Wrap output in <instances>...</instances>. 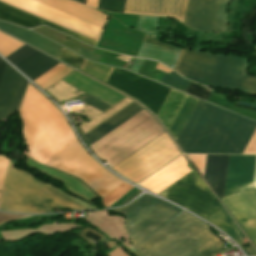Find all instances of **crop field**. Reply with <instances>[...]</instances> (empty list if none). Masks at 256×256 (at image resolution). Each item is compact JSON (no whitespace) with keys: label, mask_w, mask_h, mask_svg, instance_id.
Here are the masks:
<instances>
[{"label":"crop field","mask_w":256,"mask_h":256,"mask_svg":"<svg viewBox=\"0 0 256 256\" xmlns=\"http://www.w3.org/2000/svg\"><path fill=\"white\" fill-rule=\"evenodd\" d=\"M256 156L230 155L222 202L256 244V185H252Z\"/></svg>","instance_id":"7"},{"label":"crop field","mask_w":256,"mask_h":256,"mask_svg":"<svg viewBox=\"0 0 256 256\" xmlns=\"http://www.w3.org/2000/svg\"><path fill=\"white\" fill-rule=\"evenodd\" d=\"M19 112L30 157L42 164L76 138L64 115L30 84Z\"/></svg>","instance_id":"2"},{"label":"crop field","mask_w":256,"mask_h":256,"mask_svg":"<svg viewBox=\"0 0 256 256\" xmlns=\"http://www.w3.org/2000/svg\"><path fill=\"white\" fill-rule=\"evenodd\" d=\"M247 59L182 49L174 70L184 77L220 89L256 95V77L245 75Z\"/></svg>","instance_id":"4"},{"label":"crop field","mask_w":256,"mask_h":256,"mask_svg":"<svg viewBox=\"0 0 256 256\" xmlns=\"http://www.w3.org/2000/svg\"><path fill=\"white\" fill-rule=\"evenodd\" d=\"M193 183H195V179L191 171L158 195L190 209L205 219L222 208L215 202L211 194L193 186Z\"/></svg>","instance_id":"11"},{"label":"crop field","mask_w":256,"mask_h":256,"mask_svg":"<svg viewBox=\"0 0 256 256\" xmlns=\"http://www.w3.org/2000/svg\"><path fill=\"white\" fill-rule=\"evenodd\" d=\"M126 248V247H125ZM127 250H129L133 255L135 256H141L139 253H137L135 250L130 249V248H126Z\"/></svg>","instance_id":"44"},{"label":"crop field","mask_w":256,"mask_h":256,"mask_svg":"<svg viewBox=\"0 0 256 256\" xmlns=\"http://www.w3.org/2000/svg\"><path fill=\"white\" fill-rule=\"evenodd\" d=\"M72 70L74 69L65 66L38 85L41 86L43 89H46L49 86H51L53 83H55L56 81H58L59 79L67 75Z\"/></svg>","instance_id":"32"},{"label":"crop field","mask_w":256,"mask_h":256,"mask_svg":"<svg viewBox=\"0 0 256 256\" xmlns=\"http://www.w3.org/2000/svg\"><path fill=\"white\" fill-rule=\"evenodd\" d=\"M22 43L0 33V54L4 57L21 47Z\"/></svg>","instance_id":"29"},{"label":"crop field","mask_w":256,"mask_h":256,"mask_svg":"<svg viewBox=\"0 0 256 256\" xmlns=\"http://www.w3.org/2000/svg\"><path fill=\"white\" fill-rule=\"evenodd\" d=\"M86 4L89 5V6H91V7L97 8L98 0H87V1H86Z\"/></svg>","instance_id":"41"},{"label":"crop field","mask_w":256,"mask_h":256,"mask_svg":"<svg viewBox=\"0 0 256 256\" xmlns=\"http://www.w3.org/2000/svg\"><path fill=\"white\" fill-rule=\"evenodd\" d=\"M161 83L184 92L187 85L189 84V81L183 79L178 74H176L174 71H171L170 75H168L166 73L164 74V76L161 80Z\"/></svg>","instance_id":"26"},{"label":"crop field","mask_w":256,"mask_h":256,"mask_svg":"<svg viewBox=\"0 0 256 256\" xmlns=\"http://www.w3.org/2000/svg\"><path fill=\"white\" fill-rule=\"evenodd\" d=\"M207 220L211 221L215 226L223 229L230 236V238L234 240L238 245L243 244L240 235L237 233V231L231 224L230 219L224 212L223 208L220 209L215 214H213L212 216H210Z\"/></svg>","instance_id":"24"},{"label":"crop field","mask_w":256,"mask_h":256,"mask_svg":"<svg viewBox=\"0 0 256 256\" xmlns=\"http://www.w3.org/2000/svg\"><path fill=\"white\" fill-rule=\"evenodd\" d=\"M27 81L5 64L0 80V121H9L21 101Z\"/></svg>","instance_id":"14"},{"label":"crop field","mask_w":256,"mask_h":256,"mask_svg":"<svg viewBox=\"0 0 256 256\" xmlns=\"http://www.w3.org/2000/svg\"><path fill=\"white\" fill-rule=\"evenodd\" d=\"M84 100L87 104H89V105H91V106H93V107H95V108H97V109H99L103 112L105 110H107L109 107H111V105H109V104H107V103H105V102H103V101H101V100H99V99H97V98H95L91 95L86 96L84 98Z\"/></svg>","instance_id":"34"},{"label":"crop field","mask_w":256,"mask_h":256,"mask_svg":"<svg viewBox=\"0 0 256 256\" xmlns=\"http://www.w3.org/2000/svg\"><path fill=\"white\" fill-rule=\"evenodd\" d=\"M5 58L20 69L32 81L59 63L26 45Z\"/></svg>","instance_id":"15"},{"label":"crop field","mask_w":256,"mask_h":256,"mask_svg":"<svg viewBox=\"0 0 256 256\" xmlns=\"http://www.w3.org/2000/svg\"><path fill=\"white\" fill-rule=\"evenodd\" d=\"M158 17H145L140 16L136 29H139L146 34L155 37L157 30Z\"/></svg>","instance_id":"27"},{"label":"crop field","mask_w":256,"mask_h":256,"mask_svg":"<svg viewBox=\"0 0 256 256\" xmlns=\"http://www.w3.org/2000/svg\"><path fill=\"white\" fill-rule=\"evenodd\" d=\"M144 41H148V42H152V43H155L157 45H160L162 47H165V48H169V49H172V50H176L179 49L178 52L176 51H172V50H169V49H165V48H162L160 46H157L155 44H152V43H148V42H142L141 44V47L138 51V54L136 57H139V58H145V59H151V60H156L170 68H174L175 66V63H176V60L178 58V55H179V52H180V48H177V49H174V48H171V47H168V46H165V45H162L154 40H152L151 38L147 37V36H144Z\"/></svg>","instance_id":"21"},{"label":"crop field","mask_w":256,"mask_h":256,"mask_svg":"<svg viewBox=\"0 0 256 256\" xmlns=\"http://www.w3.org/2000/svg\"><path fill=\"white\" fill-rule=\"evenodd\" d=\"M0 20L5 21V22H9V23H12V24H15V25H18V26H22V27H25V28H31V27H34V26H37V25L45 24V25H47L51 28H54V29L59 30L63 33L71 35V36H73V37H75V38H77V39H79V40H81V41H83L87 44H90L94 47L97 44L96 43L97 41L96 42L91 41L92 39L89 40L87 38L79 36L80 34L79 35L74 34L75 32L72 33L70 31L62 29L63 27L60 28L58 26H55V25L50 24L48 22H45L46 20L43 21L41 19H38V18L33 17L31 15H28L24 12L16 10V9H14L12 7H9L7 5H4L2 3H0Z\"/></svg>","instance_id":"18"},{"label":"crop field","mask_w":256,"mask_h":256,"mask_svg":"<svg viewBox=\"0 0 256 256\" xmlns=\"http://www.w3.org/2000/svg\"><path fill=\"white\" fill-rule=\"evenodd\" d=\"M229 155H207L204 178L220 198L223 197Z\"/></svg>","instance_id":"20"},{"label":"crop field","mask_w":256,"mask_h":256,"mask_svg":"<svg viewBox=\"0 0 256 256\" xmlns=\"http://www.w3.org/2000/svg\"><path fill=\"white\" fill-rule=\"evenodd\" d=\"M185 93H188L190 95L206 100L207 97L210 95L211 90L199 87L198 85L190 82L187 89L185 90Z\"/></svg>","instance_id":"33"},{"label":"crop field","mask_w":256,"mask_h":256,"mask_svg":"<svg viewBox=\"0 0 256 256\" xmlns=\"http://www.w3.org/2000/svg\"><path fill=\"white\" fill-rule=\"evenodd\" d=\"M244 251L246 252V254H247L248 256L256 255V253H255V251H254V249H253L252 246H250V247L244 249Z\"/></svg>","instance_id":"40"},{"label":"crop field","mask_w":256,"mask_h":256,"mask_svg":"<svg viewBox=\"0 0 256 256\" xmlns=\"http://www.w3.org/2000/svg\"><path fill=\"white\" fill-rule=\"evenodd\" d=\"M64 65L62 64H57L55 67H53L52 69H50L49 71H47L45 74H43L42 76H40L39 78H37L35 81V83H40L41 81H43L44 79H46L47 77H49L51 74H53L54 72H56L57 70H59L60 68H62ZM55 74V73H54Z\"/></svg>","instance_id":"37"},{"label":"crop field","mask_w":256,"mask_h":256,"mask_svg":"<svg viewBox=\"0 0 256 256\" xmlns=\"http://www.w3.org/2000/svg\"><path fill=\"white\" fill-rule=\"evenodd\" d=\"M77 1L85 4L86 0H77Z\"/></svg>","instance_id":"46"},{"label":"crop field","mask_w":256,"mask_h":256,"mask_svg":"<svg viewBox=\"0 0 256 256\" xmlns=\"http://www.w3.org/2000/svg\"><path fill=\"white\" fill-rule=\"evenodd\" d=\"M113 210L123 213L126 217L134 248L183 211L148 194L120 209Z\"/></svg>","instance_id":"9"},{"label":"crop field","mask_w":256,"mask_h":256,"mask_svg":"<svg viewBox=\"0 0 256 256\" xmlns=\"http://www.w3.org/2000/svg\"><path fill=\"white\" fill-rule=\"evenodd\" d=\"M222 248L206 224L183 211L135 249L143 256H214Z\"/></svg>","instance_id":"3"},{"label":"crop field","mask_w":256,"mask_h":256,"mask_svg":"<svg viewBox=\"0 0 256 256\" xmlns=\"http://www.w3.org/2000/svg\"><path fill=\"white\" fill-rule=\"evenodd\" d=\"M58 59L60 60H63L67 63H70L78 68H82V66L84 65L85 63V60L78 57L77 55L73 54L72 52L62 48L59 56H58Z\"/></svg>","instance_id":"31"},{"label":"crop field","mask_w":256,"mask_h":256,"mask_svg":"<svg viewBox=\"0 0 256 256\" xmlns=\"http://www.w3.org/2000/svg\"><path fill=\"white\" fill-rule=\"evenodd\" d=\"M125 0H99L98 8L109 12L123 13Z\"/></svg>","instance_id":"30"},{"label":"crop field","mask_w":256,"mask_h":256,"mask_svg":"<svg viewBox=\"0 0 256 256\" xmlns=\"http://www.w3.org/2000/svg\"><path fill=\"white\" fill-rule=\"evenodd\" d=\"M132 188L134 187L124 182L119 187H117L114 191H112L109 195H107L105 198L102 199L103 205L106 207H109L118 199H120L123 195L129 192Z\"/></svg>","instance_id":"28"},{"label":"crop field","mask_w":256,"mask_h":256,"mask_svg":"<svg viewBox=\"0 0 256 256\" xmlns=\"http://www.w3.org/2000/svg\"><path fill=\"white\" fill-rule=\"evenodd\" d=\"M3 187L45 213L51 212V207L85 209L76 202L50 188L38 178L25 171L15 170L11 161H9ZM5 188H3L0 198V210L43 213L34 206L30 207L29 203Z\"/></svg>","instance_id":"5"},{"label":"crop field","mask_w":256,"mask_h":256,"mask_svg":"<svg viewBox=\"0 0 256 256\" xmlns=\"http://www.w3.org/2000/svg\"><path fill=\"white\" fill-rule=\"evenodd\" d=\"M44 165L81 179L101 199L124 181L102 168L81 146L77 138L49 159Z\"/></svg>","instance_id":"8"},{"label":"crop field","mask_w":256,"mask_h":256,"mask_svg":"<svg viewBox=\"0 0 256 256\" xmlns=\"http://www.w3.org/2000/svg\"><path fill=\"white\" fill-rule=\"evenodd\" d=\"M157 69L162 70V71H164L166 73H170V71H171V69H169V68H167V67H165V66H163L161 64H158Z\"/></svg>","instance_id":"42"},{"label":"crop field","mask_w":256,"mask_h":256,"mask_svg":"<svg viewBox=\"0 0 256 256\" xmlns=\"http://www.w3.org/2000/svg\"><path fill=\"white\" fill-rule=\"evenodd\" d=\"M0 29L16 36L20 40L54 56L57 58L62 47L48 41L47 39L22 28H18L3 22H0Z\"/></svg>","instance_id":"22"},{"label":"crop field","mask_w":256,"mask_h":256,"mask_svg":"<svg viewBox=\"0 0 256 256\" xmlns=\"http://www.w3.org/2000/svg\"><path fill=\"white\" fill-rule=\"evenodd\" d=\"M205 158L206 155H194L192 160L190 159L202 175L204 174Z\"/></svg>","instance_id":"35"},{"label":"crop field","mask_w":256,"mask_h":256,"mask_svg":"<svg viewBox=\"0 0 256 256\" xmlns=\"http://www.w3.org/2000/svg\"><path fill=\"white\" fill-rule=\"evenodd\" d=\"M4 64H5V62L2 59H0V77H1V73L3 70Z\"/></svg>","instance_id":"43"},{"label":"crop field","mask_w":256,"mask_h":256,"mask_svg":"<svg viewBox=\"0 0 256 256\" xmlns=\"http://www.w3.org/2000/svg\"><path fill=\"white\" fill-rule=\"evenodd\" d=\"M178 155L165 132L112 169L138 183Z\"/></svg>","instance_id":"10"},{"label":"crop field","mask_w":256,"mask_h":256,"mask_svg":"<svg viewBox=\"0 0 256 256\" xmlns=\"http://www.w3.org/2000/svg\"><path fill=\"white\" fill-rule=\"evenodd\" d=\"M189 171L191 170L187 167V161L181 155L139 185L157 194Z\"/></svg>","instance_id":"17"},{"label":"crop field","mask_w":256,"mask_h":256,"mask_svg":"<svg viewBox=\"0 0 256 256\" xmlns=\"http://www.w3.org/2000/svg\"><path fill=\"white\" fill-rule=\"evenodd\" d=\"M8 161H9V159H7L3 156H0V193H1L2 185H3Z\"/></svg>","instance_id":"36"},{"label":"crop field","mask_w":256,"mask_h":256,"mask_svg":"<svg viewBox=\"0 0 256 256\" xmlns=\"http://www.w3.org/2000/svg\"><path fill=\"white\" fill-rule=\"evenodd\" d=\"M141 109L143 108L132 102L85 134L83 133L80 126L76 128L84 141L89 146L96 140L107 134L109 131L123 123L125 120L136 114Z\"/></svg>","instance_id":"19"},{"label":"crop field","mask_w":256,"mask_h":256,"mask_svg":"<svg viewBox=\"0 0 256 256\" xmlns=\"http://www.w3.org/2000/svg\"><path fill=\"white\" fill-rule=\"evenodd\" d=\"M76 1V0H75Z\"/></svg>","instance_id":"47"},{"label":"crop field","mask_w":256,"mask_h":256,"mask_svg":"<svg viewBox=\"0 0 256 256\" xmlns=\"http://www.w3.org/2000/svg\"><path fill=\"white\" fill-rule=\"evenodd\" d=\"M233 222V221H232ZM234 224V223H233ZM235 225V224H234ZM235 227L237 228V230L240 232V234L242 235V238L244 239V238H246L245 236H244V234L238 229V227L235 225Z\"/></svg>","instance_id":"45"},{"label":"crop field","mask_w":256,"mask_h":256,"mask_svg":"<svg viewBox=\"0 0 256 256\" xmlns=\"http://www.w3.org/2000/svg\"><path fill=\"white\" fill-rule=\"evenodd\" d=\"M228 1L187 0L183 24L202 31H224Z\"/></svg>","instance_id":"13"},{"label":"crop field","mask_w":256,"mask_h":256,"mask_svg":"<svg viewBox=\"0 0 256 256\" xmlns=\"http://www.w3.org/2000/svg\"><path fill=\"white\" fill-rule=\"evenodd\" d=\"M197 99L187 96L185 102L183 103L181 109L179 110L177 116L175 117L173 123L169 128L170 134L176 140L179 132L181 131L183 125L185 124L188 116L190 115L192 109L194 108Z\"/></svg>","instance_id":"23"},{"label":"crop field","mask_w":256,"mask_h":256,"mask_svg":"<svg viewBox=\"0 0 256 256\" xmlns=\"http://www.w3.org/2000/svg\"><path fill=\"white\" fill-rule=\"evenodd\" d=\"M106 83L141 101L155 115L170 91L168 87L116 68H113Z\"/></svg>","instance_id":"12"},{"label":"crop field","mask_w":256,"mask_h":256,"mask_svg":"<svg viewBox=\"0 0 256 256\" xmlns=\"http://www.w3.org/2000/svg\"><path fill=\"white\" fill-rule=\"evenodd\" d=\"M256 122L198 100L177 143L186 153L242 154Z\"/></svg>","instance_id":"1"},{"label":"crop field","mask_w":256,"mask_h":256,"mask_svg":"<svg viewBox=\"0 0 256 256\" xmlns=\"http://www.w3.org/2000/svg\"><path fill=\"white\" fill-rule=\"evenodd\" d=\"M0 2L98 41L107 17L71 0H0Z\"/></svg>","instance_id":"6"},{"label":"crop field","mask_w":256,"mask_h":256,"mask_svg":"<svg viewBox=\"0 0 256 256\" xmlns=\"http://www.w3.org/2000/svg\"><path fill=\"white\" fill-rule=\"evenodd\" d=\"M82 70L106 82L112 68L86 61Z\"/></svg>","instance_id":"25"},{"label":"crop field","mask_w":256,"mask_h":256,"mask_svg":"<svg viewBox=\"0 0 256 256\" xmlns=\"http://www.w3.org/2000/svg\"><path fill=\"white\" fill-rule=\"evenodd\" d=\"M143 60L142 59H138L136 58L134 63L132 64L131 68H130V71H133L135 73H137L139 67L141 66Z\"/></svg>","instance_id":"39"},{"label":"crop field","mask_w":256,"mask_h":256,"mask_svg":"<svg viewBox=\"0 0 256 256\" xmlns=\"http://www.w3.org/2000/svg\"><path fill=\"white\" fill-rule=\"evenodd\" d=\"M186 0H126L124 13L171 16L182 22Z\"/></svg>","instance_id":"16"},{"label":"crop field","mask_w":256,"mask_h":256,"mask_svg":"<svg viewBox=\"0 0 256 256\" xmlns=\"http://www.w3.org/2000/svg\"><path fill=\"white\" fill-rule=\"evenodd\" d=\"M77 53L80 54L81 56L85 57V58H88V59L94 60V61H99L100 58H101L100 56H97L95 54L89 53V52L84 51L82 49H78Z\"/></svg>","instance_id":"38"}]
</instances>
